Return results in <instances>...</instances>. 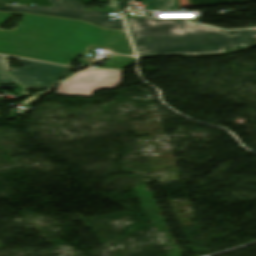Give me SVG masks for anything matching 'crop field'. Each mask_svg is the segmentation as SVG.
Masks as SVG:
<instances>
[{
    "mask_svg": "<svg viewBox=\"0 0 256 256\" xmlns=\"http://www.w3.org/2000/svg\"><path fill=\"white\" fill-rule=\"evenodd\" d=\"M146 10L179 9L178 0H144Z\"/></svg>",
    "mask_w": 256,
    "mask_h": 256,
    "instance_id": "7",
    "label": "crop field"
},
{
    "mask_svg": "<svg viewBox=\"0 0 256 256\" xmlns=\"http://www.w3.org/2000/svg\"><path fill=\"white\" fill-rule=\"evenodd\" d=\"M0 83H11L18 87L17 96L27 95V89L9 72V58L0 56Z\"/></svg>",
    "mask_w": 256,
    "mask_h": 256,
    "instance_id": "6",
    "label": "crop field"
},
{
    "mask_svg": "<svg viewBox=\"0 0 256 256\" xmlns=\"http://www.w3.org/2000/svg\"><path fill=\"white\" fill-rule=\"evenodd\" d=\"M126 20L140 58L222 55L256 46V25L223 30L193 19H154L153 14Z\"/></svg>",
    "mask_w": 256,
    "mask_h": 256,
    "instance_id": "2",
    "label": "crop field"
},
{
    "mask_svg": "<svg viewBox=\"0 0 256 256\" xmlns=\"http://www.w3.org/2000/svg\"><path fill=\"white\" fill-rule=\"evenodd\" d=\"M12 16L0 12V25ZM90 46L135 56L126 32L84 21L26 13L16 30H0V54L69 66Z\"/></svg>",
    "mask_w": 256,
    "mask_h": 256,
    "instance_id": "1",
    "label": "crop field"
},
{
    "mask_svg": "<svg viewBox=\"0 0 256 256\" xmlns=\"http://www.w3.org/2000/svg\"><path fill=\"white\" fill-rule=\"evenodd\" d=\"M24 68H11V73L28 89L46 91L68 72L70 68L17 59Z\"/></svg>",
    "mask_w": 256,
    "mask_h": 256,
    "instance_id": "5",
    "label": "crop field"
},
{
    "mask_svg": "<svg viewBox=\"0 0 256 256\" xmlns=\"http://www.w3.org/2000/svg\"><path fill=\"white\" fill-rule=\"evenodd\" d=\"M119 11H125V7H128L127 1H118Z\"/></svg>",
    "mask_w": 256,
    "mask_h": 256,
    "instance_id": "8",
    "label": "crop field"
},
{
    "mask_svg": "<svg viewBox=\"0 0 256 256\" xmlns=\"http://www.w3.org/2000/svg\"><path fill=\"white\" fill-rule=\"evenodd\" d=\"M25 13H13V16L23 17Z\"/></svg>",
    "mask_w": 256,
    "mask_h": 256,
    "instance_id": "10",
    "label": "crop field"
},
{
    "mask_svg": "<svg viewBox=\"0 0 256 256\" xmlns=\"http://www.w3.org/2000/svg\"><path fill=\"white\" fill-rule=\"evenodd\" d=\"M123 71L87 70L63 82L55 94L92 97L99 88L114 89L121 84Z\"/></svg>",
    "mask_w": 256,
    "mask_h": 256,
    "instance_id": "4",
    "label": "crop field"
},
{
    "mask_svg": "<svg viewBox=\"0 0 256 256\" xmlns=\"http://www.w3.org/2000/svg\"><path fill=\"white\" fill-rule=\"evenodd\" d=\"M7 4H5L2 0H0V8L6 6Z\"/></svg>",
    "mask_w": 256,
    "mask_h": 256,
    "instance_id": "11",
    "label": "crop field"
},
{
    "mask_svg": "<svg viewBox=\"0 0 256 256\" xmlns=\"http://www.w3.org/2000/svg\"><path fill=\"white\" fill-rule=\"evenodd\" d=\"M109 1H110L111 8H118V5L115 0H109Z\"/></svg>",
    "mask_w": 256,
    "mask_h": 256,
    "instance_id": "9",
    "label": "crop field"
},
{
    "mask_svg": "<svg viewBox=\"0 0 256 256\" xmlns=\"http://www.w3.org/2000/svg\"><path fill=\"white\" fill-rule=\"evenodd\" d=\"M54 8L22 5L6 6L0 11L28 12L47 16L73 18L94 23L103 28L125 30L123 21H108L105 12L85 11V6L77 0H50Z\"/></svg>",
    "mask_w": 256,
    "mask_h": 256,
    "instance_id": "3",
    "label": "crop field"
}]
</instances>
